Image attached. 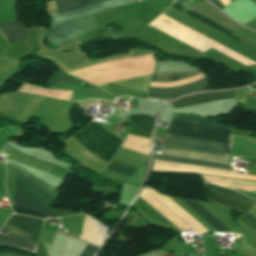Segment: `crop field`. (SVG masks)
I'll use <instances>...</instances> for the list:
<instances>
[{
    "label": "crop field",
    "instance_id": "obj_2",
    "mask_svg": "<svg viewBox=\"0 0 256 256\" xmlns=\"http://www.w3.org/2000/svg\"><path fill=\"white\" fill-rule=\"evenodd\" d=\"M133 2H137V0H110L103 3L52 15V25ZM96 27H98L97 24L95 23L91 15H89L75 20L53 25L50 32L44 38L60 46Z\"/></svg>",
    "mask_w": 256,
    "mask_h": 256
},
{
    "label": "crop field",
    "instance_id": "obj_22",
    "mask_svg": "<svg viewBox=\"0 0 256 256\" xmlns=\"http://www.w3.org/2000/svg\"><path fill=\"white\" fill-rule=\"evenodd\" d=\"M50 214L51 215H56V216H63V215H69V214H74V213H71V212L66 211V210H55V209H52Z\"/></svg>",
    "mask_w": 256,
    "mask_h": 256
},
{
    "label": "crop field",
    "instance_id": "obj_15",
    "mask_svg": "<svg viewBox=\"0 0 256 256\" xmlns=\"http://www.w3.org/2000/svg\"><path fill=\"white\" fill-rule=\"evenodd\" d=\"M133 204L136 205L137 207H139L140 209H142L143 211H145L146 213H148L150 216H152V217H154V218H156V219H158V220H160L162 222L171 224L164 217H162L159 213H157L152 207H150L139 196L137 197V199L134 201Z\"/></svg>",
    "mask_w": 256,
    "mask_h": 256
},
{
    "label": "crop field",
    "instance_id": "obj_8",
    "mask_svg": "<svg viewBox=\"0 0 256 256\" xmlns=\"http://www.w3.org/2000/svg\"><path fill=\"white\" fill-rule=\"evenodd\" d=\"M208 88H209V83L205 77L192 84L178 86V87H172V88L150 87L148 97L175 99L189 93L205 91V90H208Z\"/></svg>",
    "mask_w": 256,
    "mask_h": 256
},
{
    "label": "crop field",
    "instance_id": "obj_7",
    "mask_svg": "<svg viewBox=\"0 0 256 256\" xmlns=\"http://www.w3.org/2000/svg\"><path fill=\"white\" fill-rule=\"evenodd\" d=\"M131 119L132 124L129 133L149 138L151 131L153 129V118L147 115H135L131 116ZM108 169L117 171L128 176L132 175L133 172L137 170V168L120 163L115 160H113Z\"/></svg>",
    "mask_w": 256,
    "mask_h": 256
},
{
    "label": "crop field",
    "instance_id": "obj_19",
    "mask_svg": "<svg viewBox=\"0 0 256 256\" xmlns=\"http://www.w3.org/2000/svg\"><path fill=\"white\" fill-rule=\"evenodd\" d=\"M239 221H241L242 223L246 224L247 226L256 231V218H254L250 214L247 213V215L244 216Z\"/></svg>",
    "mask_w": 256,
    "mask_h": 256
},
{
    "label": "crop field",
    "instance_id": "obj_20",
    "mask_svg": "<svg viewBox=\"0 0 256 256\" xmlns=\"http://www.w3.org/2000/svg\"><path fill=\"white\" fill-rule=\"evenodd\" d=\"M98 248L88 244L81 256H93L97 252Z\"/></svg>",
    "mask_w": 256,
    "mask_h": 256
},
{
    "label": "crop field",
    "instance_id": "obj_24",
    "mask_svg": "<svg viewBox=\"0 0 256 256\" xmlns=\"http://www.w3.org/2000/svg\"><path fill=\"white\" fill-rule=\"evenodd\" d=\"M6 255H11V256H21V255H17V254H10V253L0 254V256H6Z\"/></svg>",
    "mask_w": 256,
    "mask_h": 256
},
{
    "label": "crop field",
    "instance_id": "obj_12",
    "mask_svg": "<svg viewBox=\"0 0 256 256\" xmlns=\"http://www.w3.org/2000/svg\"><path fill=\"white\" fill-rule=\"evenodd\" d=\"M154 159L178 162V163H185V164H192V165H198V166H205V167H212V168H219V169H226V170H229V166H230V165H226V164L209 163V162L183 159V158L164 156V155H158V154H155Z\"/></svg>",
    "mask_w": 256,
    "mask_h": 256
},
{
    "label": "crop field",
    "instance_id": "obj_16",
    "mask_svg": "<svg viewBox=\"0 0 256 256\" xmlns=\"http://www.w3.org/2000/svg\"><path fill=\"white\" fill-rule=\"evenodd\" d=\"M185 13L194 17V18H196V19H198V20H200V21H202V22H204V23H206V24H208V25H210V26H212V27H214V28H216V29H218V30H220V31H222V32H224V33H226V34L230 35V34L233 33V32H231V31H229V30L211 22L210 20H208V19H206V18H204V17H202V16H200V15H198V14H196V13L190 11V10L185 12Z\"/></svg>",
    "mask_w": 256,
    "mask_h": 256
},
{
    "label": "crop field",
    "instance_id": "obj_6",
    "mask_svg": "<svg viewBox=\"0 0 256 256\" xmlns=\"http://www.w3.org/2000/svg\"><path fill=\"white\" fill-rule=\"evenodd\" d=\"M205 186L208 195L212 199L242 216L254 203H256L255 201L248 199L233 191L209 184H205Z\"/></svg>",
    "mask_w": 256,
    "mask_h": 256
},
{
    "label": "crop field",
    "instance_id": "obj_11",
    "mask_svg": "<svg viewBox=\"0 0 256 256\" xmlns=\"http://www.w3.org/2000/svg\"><path fill=\"white\" fill-rule=\"evenodd\" d=\"M182 201L186 205H188L191 209H193L196 213H198L201 217H203L218 231H225L227 233L231 232L229 229H227L223 224H221L217 219H215L211 214H209L205 209H203L195 201H185V200H182Z\"/></svg>",
    "mask_w": 256,
    "mask_h": 256
},
{
    "label": "crop field",
    "instance_id": "obj_4",
    "mask_svg": "<svg viewBox=\"0 0 256 256\" xmlns=\"http://www.w3.org/2000/svg\"><path fill=\"white\" fill-rule=\"evenodd\" d=\"M42 223L43 220L40 219L13 215L4 226L3 230L38 239ZM12 233H10L9 236H0V246L25 249L35 253L37 247L36 239Z\"/></svg>",
    "mask_w": 256,
    "mask_h": 256
},
{
    "label": "crop field",
    "instance_id": "obj_14",
    "mask_svg": "<svg viewBox=\"0 0 256 256\" xmlns=\"http://www.w3.org/2000/svg\"><path fill=\"white\" fill-rule=\"evenodd\" d=\"M232 147L256 153V139L233 136Z\"/></svg>",
    "mask_w": 256,
    "mask_h": 256
},
{
    "label": "crop field",
    "instance_id": "obj_25",
    "mask_svg": "<svg viewBox=\"0 0 256 256\" xmlns=\"http://www.w3.org/2000/svg\"><path fill=\"white\" fill-rule=\"evenodd\" d=\"M216 256H224V255H222V254L219 253V254H217Z\"/></svg>",
    "mask_w": 256,
    "mask_h": 256
},
{
    "label": "crop field",
    "instance_id": "obj_3",
    "mask_svg": "<svg viewBox=\"0 0 256 256\" xmlns=\"http://www.w3.org/2000/svg\"><path fill=\"white\" fill-rule=\"evenodd\" d=\"M10 171L14 172L15 174L19 175L23 179L27 180L28 182H30L31 184H33L40 190L44 191L45 193H47L51 196L54 195L55 189L49 187L42 181L36 179L35 177L31 176L30 174L24 172L23 170L10 164ZM23 179L17 177V184H18L17 186H19L20 188H22L23 190H25L26 192L33 195L34 197H36L37 199H39L40 201H42L43 203H45L46 205L49 206V204L52 200V197L43 193L42 191H40L39 189H37L36 187H34L33 185H31L30 183H28L27 181H25ZM19 187H17V189H16V195H15V200H14L15 203H17L31 211L42 212V213H46V214L49 213V211L51 210L50 207L46 206L45 204H43L36 198L32 197L31 195H29L28 193H26Z\"/></svg>",
    "mask_w": 256,
    "mask_h": 256
},
{
    "label": "crop field",
    "instance_id": "obj_13",
    "mask_svg": "<svg viewBox=\"0 0 256 256\" xmlns=\"http://www.w3.org/2000/svg\"><path fill=\"white\" fill-rule=\"evenodd\" d=\"M105 0H86L88 5L102 2ZM86 2L84 0H56L58 12H64L68 10H72L75 8L87 6Z\"/></svg>",
    "mask_w": 256,
    "mask_h": 256
},
{
    "label": "crop field",
    "instance_id": "obj_10",
    "mask_svg": "<svg viewBox=\"0 0 256 256\" xmlns=\"http://www.w3.org/2000/svg\"><path fill=\"white\" fill-rule=\"evenodd\" d=\"M0 32L5 36L8 43L27 39L24 26L18 21L1 23Z\"/></svg>",
    "mask_w": 256,
    "mask_h": 256
},
{
    "label": "crop field",
    "instance_id": "obj_5",
    "mask_svg": "<svg viewBox=\"0 0 256 256\" xmlns=\"http://www.w3.org/2000/svg\"><path fill=\"white\" fill-rule=\"evenodd\" d=\"M90 152L109 163L115 155L121 139L107 132L95 123L74 135Z\"/></svg>",
    "mask_w": 256,
    "mask_h": 256
},
{
    "label": "crop field",
    "instance_id": "obj_26",
    "mask_svg": "<svg viewBox=\"0 0 256 256\" xmlns=\"http://www.w3.org/2000/svg\"><path fill=\"white\" fill-rule=\"evenodd\" d=\"M1 199V198H0Z\"/></svg>",
    "mask_w": 256,
    "mask_h": 256
},
{
    "label": "crop field",
    "instance_id": "obj_9",
    "mask_svg": "<svg viewBox=\"0 0 256 256\" xmlns=\"http://www.w3.org/2000/svg\"><path fill=\"white\" fill-rule=\"evenodd\" d=\"M235 92L236 91L190 95V96L181 98L179 100H176L170 104L173 107V109H176V108L190 106V105L199 104L203 102L231 99L234 97Z\"/></svg>",
    "mask_w": 256,
    "mask_h": 256
},
{
    "label": "crop field",
    "instance_id": "obj_23",
    "mask_svg": "<svg viewBox=\"0 0 256 256\" xmlns=\"http://www.w3.org/2000/svg\"><path fill=\"white\" fill-rule=\"evenodd\" d=\"M216 7H218L219 9H224L225 7L222 5V3L219 0H210Z\"/></svg>",
    "mask_w": 256,
    "mask_h": 256
},
{
    "label": "crop field",
    "instance_id": "obj_1",
    "mask_svg": "<svg viewBox=\"0 0 256 256\" xmlns=\"http://www.w3.org/2000/svg\"><path fill=\"white\" fill-rule=\"evenodd\" d=\"M172 119L230 129V127L223 126L214 121L199 118L196 116L173 115ZM167 134L230 144V130L173 120H171L170 122ZM169 135L165 136L163 144L226 154H229L230 152V145L227 144L175 137ZM165 145L161 146L164 147L162 153L229 163V155L226 154L178 148Z\"/></svg>",
    "mask_w": 256,
    "mask_h": 256
},
{
    "label": "crop field",
    "instance_id": "obj_17",
    "mask_svg": "<svg viewBox=\"0 0 256 256\" xmlns=\"http://www.w3.org/2000/svg\"><path fill=\"white\" fill-rule=\"evenodd\" d=\"M178 5L181 7V9L184 11L191 9L193 7H196L202 3H204V0H176Z\"/></svg>",
    "mask_w": 256,
    "mask_h": 256
},
{
    "label": "crop field",
    "instance_id": "obj_18",
    "mask_svg": "<svg viewBox=\"0 0 256 256\" xmlns=\"http://www.w3.org/2000/svg\"><path fill=\"white\" fill-rule=\"evenodd\" d=\"M13 211L19 214H24V215H29V216H34V217H39L45 219L47 215L41 214V213H36V212H31L23 207H20L18 205H12L11 206Z\"/></svg>",
    "mask_w": 256,
    "mask_h": 256
},
{
    "label": "crop field",
    "instance_id": "obj_21",
    "mask_svg": "<svg viewBox=\"0 0 256 256\" xmlns=\"http://www.w3.org/2000/svg\"><path fill=\"white\" fill-rule=\"evenodd\" d=\"M6 50V40L5 38L0 34V55L4 56Z\"/></svg>",
    "mask_w": 256,
    "mask_h": 256
}]
</instances>
